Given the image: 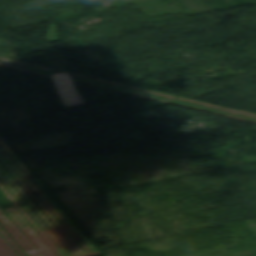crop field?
<instances>
[{
    "label": "crop field",
    "mask_w": 256,
    "mask_h": 256,
    "mask_svg": "<svg viewBox=\"0 0 256 256\" xmlns=\"http://www.w3.org/2000/svg\"><path fill=\"white\" fill-rule=\"evenodd\" d=\"M52 69L54 74L67 72L65 69L66 62L64 56L57 50H49L41 54H37Z\"/></svg>",
    "instance_id": "1"
},
{
    "label": "crop field",
    "mask_w": 256,
    "mask_h": 256,
    "mask_svg": "<svg viewBox=\"0 0 256 256\" xmlns=\"http://www.w3.org/2000/svg\"><path fill=\"white\" fill-rule=\"evenodd\" d=\"M50 28L51 32L48 34L49 42L57 39L55 25H50Z\"/></svg>",
    "instance_id": "2"
}]
</instances>
